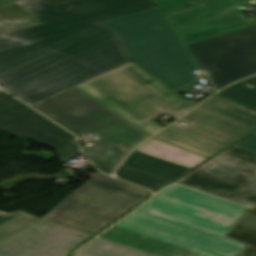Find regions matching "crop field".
I'll list each match as a JSON object with an SVG mask.
<instances>
[{"label": "crop field", "instance_id": "1", "mask_svg": "<svg viewBox=\"0 0 256 256\" xmlns=\"http://www.w3.org/2000/svg\"><path fill=\"white\" fill-rule=\"evenodd\" d=\"M42 22L0 37V84L31 105L130 61L98 22L155 7L152 0H24Z\"/></svg>", "mask_w": 256, "mask_h": 256}, {"label": "crop field", "instance_id": "2", "mask_svg": "<svg viewBox=\"0 0 256 256\" xmlns=\"http://www.w3.org/2000/svg\"><path fill=\"white\" fill-rule=\"evenodd\" d=\"M247 209L173 185L100 237L157 256H235L246 245L223 235Z\"/></svg>", "mask_w": 256, "mask_h": 256}, {"label": "crop field", "instance_id": "3", "mask_svg": "<svg viewBox=\"0 0 256 256\" xmlns=\"http://www.w3.org/2000/svg\"><path fill=\"white\" fill-rule=\"evenodd\" d=\"M31 106L78 137L96 135L95 145L82 151L91 164L105 174L110 175L134 146L149 138L73 87Z\"/></svg>", "mask_w": 256, "mask_h": 256}, {"label": "crop field", "instance_id": "4", "mask_svg": "<svg viewBox=\"0 0 256 256\" xmlns=\"http://www.w3.org/2000/svg\"><path fill=\"white\" fill-rule=\"evenodd\" d=\"M102 25L119 34L135 64L174 92L198 80L197 67L156 7Z\"/></svg>", "mask_w": 256, "mask_h": 256}, {"label": "crop field", "instance_id": "5", "mask_svg": "<svg viewBox=\"0 0 256 256\" xmlns=\"http://www.w3.org/2000/svg\"><path fill=\"white\" fill-rule=\"evenodd\" d=\"M109 178L97 173L43 218L92 235L149 194Z\"/></svg>", "mask_w": 256, "mask_h": 256}, {"label": "crop field", "instance_id": "6", "mask_svg": "<svg viewBox=\"0 0 256 256\" xmlns=\"http://www.w3.org/2000/svg\"><path fill=\"white\" fill-rule=\"evenodd\" d=\"M187 48L218 90L256 73V24Z\"/></svg>", "mask_w": 256, "mask_h": 256}, {"label": "crop field", "instance_id": "7", "mask_svg": "<svg viewBox=\"0 0 256 256\" xmlns=\"http://www.w3.org/2000/svg\"><path fill=\"white\" fill-rule=\"evenodd\" d=\"M248 3V0H213L165 14V17L185 45H188L255 24L256 17L248 21L236 9L237 6Z\"/></svg>", "mask_w": 256, "mask_h": 256}, {"label": "crop field", "instance_id": "8", "mask_svg": "<svg viewBox=\"0 0 256 256\" xmlns=\"http://www.w3.org/2000/svg\"><path fill=\"white\" fill-rule=\"evenodd\" d=\"M0 129L55 147L64 162L79 155L74 137L3 92Z\"/></svg>", "mask_w": 256, "mask_h": 256}, {"label": "crop field", "instance_id": "9", "mask_svg": "<svg viewBox=\"0 0 256 256\" xmlns=\"http://www.w3.org/2000/svg\"><path fill=\"white\" fill-rule=\"evenodd\" d=\"M90 235L40 220L0 241V256H68Z\"/></svg>", "mask_w": 256, "mask_h": 256}, {"label": "crop field", "instance_id": "10", "mask_svg": "<svg viewBox=\"0 0 256 256\" xmlns=\"http://www.w3.org/2000/svg\"><path fill=\"white\" fill-rule=\"evenodd\" d=\"M185 127L235 142L256 130V113L246 108L212 97L200 107L179 120Z\"/></svg>", "mask_w": 256, "mask_h": 256}, {"label": "crop field", "instance_id": "11", "mask_svg": "<svg viewBox=\"0 0 256 256\" xmlns=\"http://www.w3.org/2000/svg\"><path fill=\"white\" fill-rule=\"evenodd\" d=\"M75 87L151 135L164 127L150 122V119L162 114L160 111L104 74Z\"/></svg>", "mask_w": 256, "mask_h": 256}, {"label": "crop field", "instance_id": "12", "mask_svg": "<svg viewBox=\"0 0 256 256\" xmlns=\"http://www.w3.org/2000/svg\"><path fill=\"white\" fill-rule=\"evenodd\" d=\"M195 170L242 185L226 199L256 206V153L233 145Z\"/></svg>", "mask_w": 256, "mask_h": 256}, {"label": "crop field", "instance_id": "13", "mask_svg": "<svg viewBox=\"0 0 256 256\" xmlns=\"http://www.w3.org/2000/svg\"><path fill=\"white\" fill-rule=\"evenodd\" d=\"M105 74L161 112L168 113L173 119L195 106L140 69L132 61Z\"/></svg>", "mask_w": 256, "mask_h": 256}, {"label": "crop field", "instance_id": "14", "mask_svg": "<svg viewBox=\"0 0 256 256\" xmlns=\"http://www.w3.org/2000/svg\"><path fill=\"white\" fill-rule=\"evenodd\" d=\"M154 138L199 153L211 156L224 149L231 143L182 127L176 123L172 124Z\"/></svg>", "mask_w": 256, "mask_h": 256}, {"label": "crop field", "instance_id": "15", "mask_svg": "<svg viewBox=\"0 0 256 256\" xmlns=\"http://www.w3.org/2000/svg\"><path fill=\"white\" fill-rule=\"evenodd\" d=\"M136 151L160 159H164L188 168L192 167L193 165L201 162L206 158L153 138L145 142L142 146L136 149Z\"/></svg>", "mask_w": 256, "mask_h": 256}, {"label": "crop field", "instance_id": "16", "mask_svg": "<svg viewBox=\"0 0 256 256\" xmlns=\"http://www.w3.org/2000/svg\"><path fill=\"white\" fill-rule=\"evenodd\" d=\"M122 164L169 181L188 169L136 151H133Z\"/></svg>", "mask_w": 256, "mask_h": 256}, {"label": "crop field", "instance_id": "17", "mask_svg": "<svg viewBox=\"0 0 256 256\" xmlns=\"http://www.w3.org/2000/svg\"><path fill=\"white\" fill-rule=\"evenodd\" d=\"M224 236L247 245L236 256H256V208H249Z\"/></svg>", "mask_w": 256, "mask_h": 256}, {"label": "crop field", "instance_id": "18", "mask_svg": "<svg viewBox=\"0 0 256 256\" xmlns=\"http://www.w3.org/2000/svg\"><path fill=\"white\" fill-rule=\"evenodd\" d=\"M175 182L223 198L240 187L234 183L200 173L195 170L191 171Z\"/></svg>", "mask_w": 256, "mask_h": 256}, {"label": "crop field", "instance_id": "19", "mask_svg": "<svg viewBox=\"0 0 256 256\" xmlns=\"http://www.w3.org/2000/svg\"><path fill=\"white\" fill-rule=\"evenodd\" d=\"M39 23L16 2L0 7V35Z\"/></svg>", "mask_w": 256, "mask_h": 256}, {"label": "crop field", "instance_id": "20", "mask_svg": "<svg viewBox=\"0 0 256 256\" xmlns=\"http://www.w3.org/2000/svg\"><path fill=\"white\" fill-rule=\"evenodd\" d=\"M218 95L256 110V76L240 81L218 93Z\"/></svg>", "mask_w": 256, "mask_h": 256}, {"label": "crop field", "instance_id": "21", "mask_svg": "<svg viewBox=\"0 0 256 256\" xmlns=\"http://www.w3.org/2000/svg\"><path fill=\"white\" fill-rule=\"evenodd\" d=\"M77 256H147L120 245L94 239L84 247L78 250Z\"/></svg>", "mask_w": 256, "mask_h": 256}, {"label": "crop field", "instance_id": "22", "mask_svg": "<svg viewBox=\"0 0 256 256\" xmlns=\"http://www.w3.org/2000/svg\"><path fill=\"white\" fill-rule=\"evenodd\" d=\"M37 220H39V218L20 211H15L12 214L0 212V240Z\"/></svg>", "mask_w": 256, "mask_h": 256}, {"label": "crop field", "instance_id": "23", "mask_svg": "<svg viewBox=\"0 0 256 256\" xmlns=\"http://www.w3.org/2000/svg\"><path fill=\"white\" fill-rule=\"evenodd\" d=\"M116 176L118 178L139 184L152 191L156 189L158 186H160L161 184L169 182V181L160 179L158 177L123 166V165H121L119 169L116 171Z\"/></svg>", "mask_w": 256, "mask_h": 256}, {"label": "crop field", "instance_id": "24", "mask_svg": "<svg viewBox=\"0 0 256 256\" xmlns=\"http://www.w3.org/2000/svg\"><path fill=\"white\" fill-rule=\"evenodd\" d=\"M203 1L206 0H155L162 13L200 3Z\"/></svg>", "mask_w": 256, "mask_h": 256}, {"label": "crop field", "instance_id": "25", "mask_svg": "<svg viewBox=\"0 0 256 256\" xmlns=\"http://www.w3.org/2000/svg\"><path fill=\"white\" fill-rule=\"evenodd\" d=\"M235 145L248 149L250 151L256 152V135L253 134L244 140L236 143Z\"/></svg>", "mask_w": 256, "mask_h": 256}, {"label": "crop field", "instance_id": "26", "mask_svg": "<svg viewBox=\"0 0 256 256\" xmlns=\"http://www.w3.org/2000/svg\"><path fill=\"white\" fill-rule=\"evenodd\" d=\"M20 1V0H0V6L5 5L11 2Z\"/></svg>", "mask_w": 256, "mask_h": 256}, {"label": "crop field", "instance_id": "27", "mask_svg": "<svg viewBox=\"0 0 256 256\" xmlns=\"http://www.w3.org/2000/svg\"><path fill=\"white\" fill-rule=\"evenodd\" d=\"M256 134V133H255Z\"/></svg>", "mask_w": 256, "mask_h": 256}]
</instances>
